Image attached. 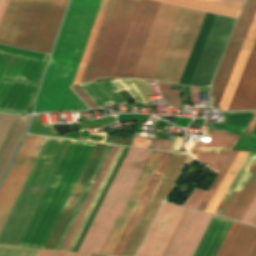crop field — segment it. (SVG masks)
<instances>
[{
  "instance_id": "8a807250",
  "label": "crop field",
  "mask_w": 256,
  "mask_h": 256,
  "mask_svg": "<svg viewBox=\"0 0 256 256\" xmlns=\"http://www.w3.org/2000/svg\"><path fill=\"white\" fill-rule=\"evenodd\" d=\"M101 0H72L53 57L39 91L35 112L86 108L68 88Z\"/></svg>"
},
{
  "instance_id": "ac0d7876",
  "label": "crop field",
  "mask_w": 256,
  "mask_h": 256,
  "mask_svg": "<svg viewBox=\"0 0 256 256\" xmlns=\"http://www.w3.org/2000/svg\"><path fill=\"white\" fill-rule=\"evenodd\" d=\"M68 0H0V43L50 53Z\"/></svg>"
},
{
  "instance_id": "34b2d1b8",
  "label": "crop field",
  "mask_w": 256,
  "mask_h": 256,
  "mask_svg": "<svg viewBox=\"0 0 256 256\" xmlns=\"http://www.w3.org/2000/svg\"><path fill=\"white\" fill-rule=\"evenodd\" d=\"M95 144L73 140L50 187L55 196L43 198L20 246L43 248Z\"/></svg>"
},
{
  "instance_id": "412701ff",
  "label": "crop field",
  "mask_w": 256,
  "mask_h": 256,
  "mask_svg": "<svg viewBox=\"0 0 256 256\" xmlns=\"http://www.w3.org/2000/svg\"><path fill=\"white\" fill-rule=\"evenodd\" d=\"M150 153L129 148L78 251L101 253Z\"/></svg>"
},
{
  "instance_id": "f4fd0767",
  "label": "crop field",
  "mask_w": 256,
  "mask_h": 256,
  "mask_svg": "<svg viewBox=\"0 0 256 256\" xmlns=\"http://www.w3.org/2000/svg\"><path fill=\"white\" fill-rule=\"evenodd\" d=\"M171 153L163 152L138 204L136 205L112 255L120 256ZM187 155L173 153L122 256H134L161 201L174 185Z\"/></svg>"
},
{
  "instance_id": "dd49c442",
  "label": "crop field",
  "mask_w": 256,
  "mask_h": 256,
  "mask_svg": "<svg viewBox=\"0 0 256 256\" xmlns=\"http://www.w3.org/2000/svg\"><path fill=\"white\" fill-rule=\"evenodd\" d=\"M0 51L43 60L45 55L0 45ZM44 62L0 53V109L24 111L35 88L5 87V81H29L36 84ZM4 112V111H3Z\"/></svg>"
},
{
  "instance_id": "e52e79f7",
  "label": "crop field",
  "mask_w": 256,
  "mask_h": 256,
  "mask_svg": "<svg viewBox=\"0 0 256 256\" xmlns=\"http://www.w3.org/2000/svg\"><path fill=\"white\" fill-rule=\"evenodd\" d=\"M205 14L181 8L154 80L179 82Z\"/></svg>"
},
{
  "instance_id": "d8731c3e",
  "label": "crop field",
  "mask_w": 256,
  "mask_h": 256,
  "mask_svg": "<svg viewBox=\"0 0 256 256\" xmlns=\"http://www.w3.org/2000/svg\"><path fill=\"white\" fill-rule=\"evenodd\" d=\"M139 0H117L88 81L109 78Z\"/></svg>"
},
{
  "instance_id": "5a996713",
  "label": "crop field",
  "mask_w": 256,
  "mask_h": 256,
  "mask_svg": "<svg viewBox=\"0 0 256 256\" xmlns=\"http://www.w3.org/2000/svg\"><path fill=\"white\" fill-rule=\"evenodd\" d=\"M159 4L149 0L139 1L110 78L132 77Z\"/></svg>"
},
{
  "instance_id": "3316defc",
  "label": "crop field",
  "mask_w": 256,
  "mask_h": 256,
  "mask_svg": "<svg viewBox=\"0 0 256 256\" xmlns=\"http://www.w3.org/2000/svg\"><path fill=\"white\" fill-rule=\"evenodd\" d=\"M180 8L160 4L132 78L154 79Z\"/></svg>"
},
{
  "instance_id": "28ad6ade",
  "label": "crop field",
  "mask_w": 256,
  "mask_h": 256,
  "mask_svg": "<svg viewBox=\"0 0 256 256\" xmlns=\"http://www.w3.org/2000/svg\"><path fill=\"white\" fill-rule=\"evenodd\" d=\"M40 138L27 136L0 188V229L37 157L33 154Z\"/></svg>"
},
{
  "instance_id": "d1516ede",
  "label": "crop field",
  "mask_w": 256,
  "mask_h": 256,
  "mask_svg": "<svg viewBox=\"0 0 256 256\" xmlns=\"http://www.w3.org/2000/svg\"><path fill=\"white\" fill-rule=\"evenodd\" d=\"M251 162H256V153H249L247 159L242 165L240 171L235 177L224 198L228 199L231 193H234L238 184L245 185L254 171L247 170ZM249 169L256 170V163H251ZM256 192V171L246 183L245 186L238 185L234 194L229 200L223 199L217 208L215 214L227 216L234 219H240L249 202Z\"/></svg>"
},
{
  "instance_id": "22f410ed",
  "label": "crop field",
  "mask_w": 256,
  "mask_h": 256,
  "mask_svg": "<svg viewBox=\"0 0 256 256\" xmlns=\"http://www.w3.org/2000/svg\"><path fill=\"white\" fill-rule=\"evenodd\" d=\"M211 218L187 208L163 256H193Z\"/></svg>"
},
{
  "instance_id": "cbeb9de0",
  "label": "crop field",
  "mask_w": 256,
  "mask_h": 256,
  "mask_svg": "<svg viewBox=\"0 0 256 256\" xmlns=\"http://www.w3.org/2000/svg\"><path fill=\"white\" fill-rule=\"evenodd\" d=\"M185 209L164 202L137 256H162Z\"/></svg>"
},
{
  "instance_id": "5142ce71",
  "label": "crop field",
  "mask_w": 256,
  "mask_h": 256,
  "mask_svg": "<svg viewBox=\"0 0 256 256\" xmlns=\"http://www.w3.org/2000/svg\"><path fill=\"white\" fill-rule=\"evenodd\" d=\"M106 145L96 144L44 248L54 249Z\"/></svg>"
},
{
  "instance_id": "d9b57169",
  "label": "crop field",
  "mask_w": 256,
  "mask_h": 256,
  "mask_svg": "<svg viewBox=\"0 0 256 256\" xmlns=\"http://www.w3.org/2000/svg\"><path fill=\"white\" fill-rule=\"evenodd\" d=\"M238 138V135L212 129L209 142H197L191 155L219 172Z\"/></svg>"
},
{
  "instance_id": "733c2abd",
  "label": "crop field",
  "mask_w": 256,
  "mask_h": 256,
  "mask_svg": "<svg viewBox=\"0 0 256 256\" xmlns=\"http://www.w3.org/2000/svg\"><path fill=\"white\" fill-rule=\"evenodd\" d=\"M98 107L111 102L112 105L124 102L117 92L127 89L138 102L145 103L132 79H114L80 85Z\"/></svg>"
},
{
  "instance_id": "4a817a6b",
  "label": "crop field",
  "mask_w": 256,
  "mask_h": 256,
  "mask_svg": "<svg viewBox=\"0 0 256 256\" xmlns=\"http://www.w3.org/2000/svg\"><path fill=\"white\" fill-rule=\"evenodd\" d=\"M162 152L153 151L102 254L111 255L136 203L138 202Z\"/></svg>"
},
{
  "instance_id": "bc2a9ffb",
  "label": "crop field",
  "mask_w": 256,
  "mask_h": 256,
  "mask_svg": "<svg viewBox=\"0 0 256 256\" xmlns=\"http://www.w3.org/2000/svg\"><path fill=\"white\" fill-rule=\"evenodd\" d=\"M256 109V40L228 110Z\"/></svg>"
},
{
  "instance_id": "214f88e0",
  "label": "crop field",
  "mask_w": 256,
  "mask_h": 256,
  "mask_svg": "<svg viewBox=\"0 0 256 256\" xmlns=\"http://www.w3.org/2000/svg\"><path fill=\"white\" fill-rule=\"evenodd\" d=\"M255 238V228L233 222L216 256H247Z\"/></svg>"
},
{
  "instance_id": "92a150f3",
  "label": "crop field",
  "mask_w": 256,
  "mask_h": 256,
  "mask_svg": "<svg viewBox=\"0 0 256 256\" xmlns=\"http://www.w3.org/2000/svg\"><path fill=\"white\" fill-rule=\"evenodd\" d=\"M255 37H256V14L251 24V27L249 29V32L247 34V37L245 39V42L243 44L242 50L240 52V55L234 67L230 80L228 82V85L223 95V98L221 100V103L219 105L222 110L228 109L233 93L235 91V88L237 86L241 73L243 71L244 65L246 63V60L248 58V55L254 43Z\"/></svg>"
},
{
  "instance_id": "dafd665d",
  "label": "crop field",
  "mask_w": 256,
  "mask_h": 256,
  "mask_svg": "<svg viewBox=\"0 0 256 256\" xmlns=\"http://www.w3.org/2000/svg\"><path fill=\"white\" fill-rule=\"evenodd\" d=\"M231 222L212 218L194 256H215Z\"/></svg>"
},
{
  "instance_id": "00972430",
  "label": "crop field",
  "mask_w": 256,
  "mask_h": 256,
  "mask_svg": "<svg viewBox=\"0 0 256 256\" xmlns=\"http://www.w3.org/2000/svg\"><path fill=\"white\" fill-rule=\"evenodd\" d=\"M255 11H256V0H253L252 5H251L250 10L248 12V15L246 17V20L244 22L243 28L241 30V33L239 35V38H238L237 43L235 45L234 51L232 53V56L230 58V61L228 63V66L226 68L225 74L223 76V79L221 81V84L219 86V89L217 91L216 97H215L214 102H213L212 105L218 106L219 103H220V100H221L222 95L224 93L225 87L227 85V82L229 80V77L231 75L233 67H234L235 62L237 60V57L239 55L240 49L242 47V44L244 42V39L246 37V34L248 32V29L250 27L252 19L254 17Z\"/></svg>"
},
{
  "instance_id": "a9b5d70f",
  "label": "crop field",
  "mask_w": 256,
  "mask_h": 256,
  "mask_svg": "<svg viewBox=\"0 0 256 256\" xmlns=\"http://www.w3.org/2000/svg\"><path fill=\"white\" fill-rule=\"evenodd\" d=\"M158 2L184 6L204 12L237 18L240 9L217 5L199 0H154Z\"/></svg>"
},
{
  "instance_id": "4177f3b9",
  "label": "crop field",
  "mask_w": 256,
  "mask_h": 256,
  "mask_svg": "<svg viewBox=\"0 0 256 256\" xmlns=\"http://www.w3.org/2000/svg\"><path fill=\"white\" fill-rule=\"evenodd\" d=\"M247 152L239 151L238 155L236 156L234 162L232 163L231 167L229 168L228 172L226 173L225 177L223 178L221 184L219 185L218 189L216 190L215 194L213 195L212 199L210 200L208 206L205 209V212L214 213L215 209L217 208L218 204L220 203L221 199L223 198L225 192L227 191L228 187L230 186L232 180L234 179L236 173L238 172L240 166L242 165L243 161L247 156Z\"/></svg>"
},
{
  "instance_id": "730fd06b",
  "label": "crop field",
  "mask_w": 256,
  "mask_h": 256,
  "mask_svg": "<svg viewBox=\"0 0 256 256\" xmlns=\"http://www.w3.org/2000/svg\"><path fill=\"white\" fill-rule=\"evenodd\" d=\"M251 2H252V0H247L246 3H245V5H244V7H243V9H242V11H241V14H240V16H239V19H238V21H237V24H236V26H235V28H234V31H233L232 36H231V38H230L229 44H228V46H227L226 52H225V54H224L223 60H222V62H221V65H220V67H219V70H218V72H217V75H216V77H215V79H214V82H213V84H212L211 97H214L215 94H216V91H217V89H218L219 83H220V81H221V78H222V76H223V73H224V71H225V68H226V66H227V63H228V61H229L230 55H231V53H232V50H233V48H234V45H235L236 40H237V38H238V35H239V33H240L241 27H242V25H243V22H244V20H245V17H246V15H247V12H248V10H249V7H250V5H251Z\"/></svg>"
},
{
  "instance_id": "eef30255",
  "label": "crop field",
  "mask_w": 256,
  "mask_h": 256,
  "mask_svg": "<svg viewBox=\"0 0 256 256\" xmlns=\"http://www.w3.org/2000/svg\"><path fill=\"white\" fill-rule=\"evenodd\" d=\"M108 1L109 0H102V3H101V6L99 8V11H98L95 23L93 25V28H92V31H91V34H90V37H89L86 49L84 51L81 63L79 65L78 69H77V72H76V75H75V78H74L72 84L78 83V82L81 81L82 75L84 73V70H85V67H86L89 55L91 53V50H92V47H93V44H94V41H95V38H96V35H97L99 27H100L103 15L105 13Z\"/></svg>"
},
{
  "instance_id": "ae1a2a85",
  "label": "crop field",
  "mask_w": 256,
  "mask_h": 256,
  "mask_svg": "<svg viewBox=\"0 0 256 256\" xmlns=\"http://www.w3.org/2000/svg\"><path fill=\"white\" fill-rule=\"evenodd\" d=\"M116 148H117V146H112V148H111V150H110V152H109V154H108V156H107V158H106V160H105V162H104V164H103V166H102V168H101V170H100V172H99V174H98V176H97V178H96V180H95V182H94V184H93V186H92V188H91V190H90V192H89V194H88V196H87V198H86V200H85V202H84V204H83V206H82V208H81V210H80V212H79V214H78V216H77V218H76V220H75V222H74V224H73V226H72V228H71V230H70V232H69V234H68V236H67V238L64 242V244H63V246H62V248H61V250H66V248H67V246H68V244H69V242H70V240H71V238H72V236H73V234H74V232H75V230H76V228H77V226H78V224H79V222H80V220H81V218H82V216H83V214H84V212H85V210H86V208H87V206H88V204H89V202H90V200H91V198H92V196H93V194H94V192H95V190H96V188H97V186H98V184H99V182H100V180H101V178H102V176H103V174H104V172H105V170H106V168H107V166H108V164H109V162H110V160H111V158L114 154V152H115V150H116Z\"/></svg>"
},
{
  "instance_id": "d3111659",
  "label": "crop field",
  "mask_w": 256,
  "mask_h": 256,
  "mask_svg": "<svg viewBox=\"0 0 256 256\" xmlns=\"http://www.w3.org/2000/svg\"><path fill=\"white\" fill-rule=\"evenodd\" d=\"M115 3H116V0H110V1H109V4H108L107 10H106L104 19H103V21H102V24H101V27H100L98 36H97V38H96V41H95V44H94L92 53H91V55H90V58H89V61H88V64H87V67H86V70H85V73H84V75H83V78H82V81H81V82H87V80H88V77H89V75H90L92 66H93V64H94L96 55H97L98 50H99V47H100V44H101V42H102L104 33H105V31H106L108 22H109V20H110L112 11H113V9H114Z\"/></svg>"
},
{
  "instance_id": "750c4746",
  "label": "crop field",
  "mask_w": 256,
  "mask_h": 256,
  "mask_svg": "<svg viewBox=\"0 0 256 256\" xmlns=\"http://www.w3.org/2000/svg\"><path fill=\"white\" fill-rule=\"evenodd\" d=\"M253 116L254 112L229 113L226 123L215 124L214 127L242 134Z\"/></svg>"
},
{
  "instance_id": "bd1437ed",
  "label": "crop field",
  "mask_w": 256,
  "mask_h": 256,
  "mask_svg": "<svg viewBox=\"0 0 256 256\" xmlns=\"http://www.w3.org/2000/svg\"><path fill=\"white\" fill-rule=\"evenodd\" d=\"M110 148H111V146L107 145V147H106V149H105V151H104V153H103V155H102V157H101V159H100V161H99V163H98V165H97V167H96V169H95V171H94V173H93V175L90 179L91 182H94V180H95V178H96V176H97V174H98V172H99V170H100V168H101V166H102ZM91 182L88 183V185H87V187H86V189H85V191H84V193H83V195H82V197H81V199H80V201H79V203H78V205H77V207H76V209H75V211H74V213H73V215H72V217H71V219H70V221H69V223H68V225H67V227H66V229H65V231H64V233H63V235H62V237H61V239L58 243V245H57V247H56L57 250L60 249V247H61V245H62V243H63V241H64V239H65V237H66V235H67V233H68V231H69V229H70V227H71V225H72V223H73V221H74V219H75V217H76V215H77V213H78V211H79V209H80V207H81V205H82V203H83V201H84V199H85V197H86V195H87V193H88V191H89V189L92 185Z\"/></svg>"
},
{
  "instance_id": "1d83c4d3",
  "label": "crop field",
  "mask_w": 256,
  "mask_h": 256,
  "mask_svg": "<svg viewBox=\"0 0 256 256\" xmlns=\"http://www.w3.org/2000/svg\"><path fill=\"white\" fill-rule=\"evenodd\" d=\"M237 153H238V151H231L226 162L224 163L223 167L221 168L218 176L216 177V179L212 182L211 186L209 187L206 196L204 197V199L202 200L201 204L198 207V210L204 211L205 207L207 206L209 200L211 199L212 195L214 194L215 190L217 189L218 185L220 184L222 178L224 177L225 173L227 172L228 168L230 167V165L233 162Z\"/></svg>"
},
{
  "instance_id": "120bbe31",
  "label": "crop field",
  "mask_w": 256,
  "mask_h": 256,
  "mask_svg": "<svg viewBox=\"0 0 256 256\" xmlns=\"http://www.w3.org/2000/svg\"><path fill=\"white\" fill-rule=\"evenodd\" d=\"M166 106H181L180 91L170 90L169 83L158 82Z\"/></svg>"
},
{
  "instance_id": "d32e631a",
  "label": "crop field",
  "mask_w": 256,
  "mask_h": 256,
  "mask_svg": "<svg viewBox=\"0 0 256 256\" xmlns=\"http://www.w3.org/2000/svg\"><path fill=\"white\" fill-rule=\"evenodd\" d=\"M39 250L0 246V256H36Z\"/></svg>"
},
{
  "instance_id": "5866460e",
  "label": "crop field",
  "mask_w": 256,
  "mask_h": 256,
  "mask_svg": "<svg viewBox=\"0 0 256 256\" xmlns=\"http://www.w3.org/2000/svg\"><path fill=\"white\" fill-rule=\"evenodd\" d=\"M240 222L256 225V194L243 214Z\"/></svg>"
},
{
  "instance_id": "028f5c9d",
  "label": "crop field",
  "mask_w": 256,
  "mask_h": 256,
  "mask_svg": "<svg viewBox=\"0 0 256 256\" xmlns=\"http://www.w3.org/2000/svg\"><path fill=\"white\" fill-rule=\"evenodd\" d=\"M206 191L194 189L192 195L189 197V199L185 202L184 206H188L191 208L197 209L200 201L202 200L204 194Z\"/></svg>"
},
{
  "instance_id": "e1f06a70",
  "label": "crop field",
  "mask_w": 256,
  "mask_h": 256,
  "mask_svg": "<svg viewBox=\"0 0 256 256\" xmlns=\"http://www.w3.org/2000/svg\"><path fill=\"white\" fill-rule=\"evenodd\" d=\"M5 114H0V123L3 119ZM15 115H5L1 125H0V145L14 119Z\"/></svg>"
},
{
  "instance_id": "0bd39190",
  "label": "crop field",
  "mask_w": 256,
  "mask_h": 256,
  "mask_svg": "<svg viewBox=\"0 0 256 256\" xmlns=\"http://www.w3.org/2000/svg\"><path fill=\"white\" fill-rule=\"evenodd\" d=\"M71 88L89 107H97V105L87 96L79 85L72 86Z\"/></svg>"
},
{
  "instance_id": "b80d0937",
  "label": "crop field",
  "mask_w": 256,
  "mask_h": 256,
  "mask_svg": "<svg viewBox=\"0 0 256 256\" xmlns=\"http://www.w3.org/2000/svg\"><path fill=\"white\" fill-rule=\"evenodd\" d=\"M204 1L231 6L235 8H241L245 0H204Z\"/></svg>"
},
{
  "instance_id": "c035e120",
  "label": "crop field",
  "mask_w": 256,
  "mask_h": 256,
  "mask_svg": "<svg viewBox=\"0 0 256 256\" xmlns=\"http://www.w3.org/2000/svg\"><path fill=\"white\" fill-rule=\"evenodd\" d=\"M172 141L169 140H163V139H154L153 147L154 149H160V150H169V147L171 145Z\"/></svg>"
},
{
  "instance_id": "c21b1889",
  "label": "crop field",
  "mask_w": 256,
  "mask_h": 256,
  "mask_svg": "<svg viewBox=\"0 0 256 256\" xmlns=\"http://www.w3.org/2000/svg\"><path fill=\"white\" fill-rule=\"evenodd\" d=\"M150 141L151 140H149V139L135 136L133 139L132 146L148 148Z\"/></svg>"
},
{
  "instance_id": "03da06ac",
  "label": "crop field",
  "mask_w": 256,
  "mask_h": 256,
  "mask_svg": "<svg viewBox=\"0 0 256 256\" xmlns=\"http://www.w3.org/2000/svg\"><path fill=\"white\" fill-rule=\"evenodd\" d=\"M67 253L40 250L37 256H65Z\"/></svg>"
},
{
  "instance_id": "b54c1fbb",
  "label": "crop field",
  "mask_w": 256,
  "mask_h": 256,
  "mask_svg": "<svg viewBox=\"0 0 256 256\" xmlns=\"http://www.w3.org/2000/svg\"><path fill=\"white\" fill-rule=\"evenodd\" d=\"M191 102H199V89L190 87Z\"/></svg>"
},
{
  "instance_id": "5d738f31",
  "label": "crop field",
  "mask_w": 256,
  "mask_h": 256,
  "mask_svg": "<svg viewBox=\"0 0 256 256\" xmlns=\"http://www.w3.org/2000/svg\"><path fill=\"white\" fill-rule=\"evenodd\" d=\"M255 127H256V113H255V116H254V118L252 119V121L249 123V125H248V127H247V130L253 131V129H254ZM247 130H245L243 134L250 136L251 131H247Z\"/></svg>"
},
{
  "instance_id": "d23c7cc5",
  "label": "crop field",
  "mask_w": 256,
  "mask_h": 256,
  "mask_svg": "<svg viewBox=\"0 0 256 256\" xmlns=\"http://www.w3.org/2000/svg\"><path fill=\"white\" fill-rule=\"evenodd\" d=\"M181 139V137H174L170 151L179 150Z\"/></svg>"
},
{
  "instance_id": "425ffa30",
  "label": "crop field",
  "mask_w": 256,
  "mask_h": 256,
  "mask_svg": "<svg viewBox=\"0 0 256 256\" xmlns=\"http://www.w3.org/2000/svg\"><path fill=\"white\" fill-rule=\"evenodd\" d=\"M248 256H256V241H255V243H254V245H253V247H252Z\"/></svg>"
},
{
  "instance_id": "25e5ab78",
  "label": "crop field",
  "mask_w": 256,
  "mask_h": 256,
  "mask_svg": "<svg viewBox=\"0 0 256 256\" xmlns=\"http://www.w3.org/2000/svg\"><path fill=\"white\" fill-rule=\"evenodd\" d=\"M67 256H90L86 254H74V253H68Z\"/></svg>"
},
{
  "instance_id": "73cf0c24",
  "label": "crop field",
  "mask_w": 256,
  "mask_h": 256,
  "mask_svg": "<svg viewBox=\"0 0 256 256\" xmlns=\"http://www.w3.org/2000/svg\"><path fill=\"white\" fill-rule=\"evenodd\" d=\"M91 256H99V255H91Z\"/></svg>"
}]
</instances>
